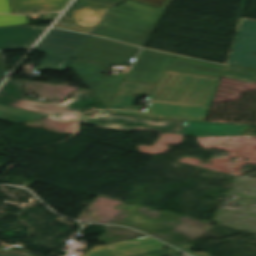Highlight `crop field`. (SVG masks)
<instances>
[{
  "instance_id": "15",
  "label": "crop field",
  "mask_w": 256,
  "mask_h": 256,
  "mask_svg": "<svg viewBox=\"0 0 256 256\" xmlns=\"http://www.w3.org/2000/svg\"><path fill=\"white\" fill-rule=\"evenodd\" d=\"M70 0H9L12 13H31L33 9L40 12L62 11Z\"/></svg>"
},
{
  "instance_id": "9",
  "label": "crop field",
  "mask_w": 256,
  "mask_h": 256,
  "mask_svg": "<svg viewBox=\"0 0 256 256\" xmlns=\"http://www.w3.org/2000/svg\"><path fill=\"white\" fill-rule=\"evenodd\" d=\"M256 22L244 21L229 64L256 70Z\"/></svg>"
},
{
  "instance_id": "26",
  "label": "crop field",
  "mask_w": 256,
  "mask_h": 256,
  "mask_svg": "<svg viewBox=\"0 0 256 256\" xmlns=\"http://www.w3.org/2000/svg\"><path fill=\"white\" fill-rule=\"evenodd\" d=\"M179 251H177V252H172V253H168V254H163V255H160V256H166V255H169V256H180L179 255Z\"/></svg>"
},
{
  "instance_id": "10",
  "label": "crop field",
  "mask_w": 256,
  "mask_h": 256,
  "mask_svg": "<svg viewBox=\"0 0 256 256\" xmlns=\"http://www.w3.org/2000/svg\"><path fill=\"white\" fill-rule=\"evenodd\" d=\"M46 28L31 25L0 27V50L30 48Z\"/></svg>"
},
{
  "instance_id": "22",
  "label": "crop field",
  "mask_w": 256,
  "mask_h": 256,
  "mask_svg": "<svg viewBox=\"0 0 256 256\" xmlns=\"http://www.w3.org/2000/svg\"><path fill=\"white\" fill-rule=\"evenodd\" d=\"M8 72L9 71L7 70V66L4 65L2 51H0V83L4 79V77L7 75Z\"/></svg>"
},
{
  "instance_id": "2",
  "label": "crop field",
  "mask_w": 256,
  "mask_h": 256,
  "mask_svg": "<svg viewBox=\"0 0 256 256\" xmlns=\"http://www.w3.org/2000/svg\"><path fill=\"white\" fill-rule=\"evenodd\" d=\"M152 1L130 0L112 9L93 34L144 47L171 0Z\"/></svg>"
},
{
  "instance_id": "24",
  "label": "crop field",
  "mask_w": 256,
  "mask_h": 256,
  "mask_svg": "<svg viewBox=\"0 0 256 256\" xmlns=\"http://www.w3.org/2000/svg\"><path fill=\"white\" fill-rule=\"evenodd\" d=\"M0 13H11L8 0H0Z\"/></svg>"
},
{
  "instance_id": "7",
  "label": "crop field",
  "mask_w": 256,
  "mask_h": 256,
  "mask_svg": "<svg viewBox=\"0 0 256 256\" xmlns=\"http://www.w3.org/2000/svg\"><path fill=\"white\" fill-rule=\"evenodd\" d=\"M107 107L124 78L102 75L105 65L74 59L70 66ZM75 72V73H76Z\"/></svg>"
},
{
  "instance_id": "14",
  "label": "crop field",
  "mask_w": 256,
  "mask_h": 256,
  "mask_svg": "<svg viewBox=\"0 0 256 256\" xmlns=\"http://www.w3.org/2000/svg\"><path fill=\"white\" fill-rule=\"evenodd\" d=\"M108 247L115 256H132L169 246L150 237H146L142 239L109 245Z\"/></svg>"
},
{
  "instance_id": "27",
  "label": "crop field",
  "mask_w": 256,
  "mask_h": 256,
  "mask_svg": "<svg viewBox=\"0 0 256 256\" xmlns=\"http://www.w3.org/2000/svg\"><path fill=\"white\" fill-rule=\"evenodd\" d=\"M58 13L49 14L48 20L54 19Z\"/></svg>"
},
{
  "instance_id": "3",
  "label": "crop field",
  "mask_w": 256,
  "mask_h": 256,
  "mask_svg": "<svg viewBox=\"0 0 256 256\" xmlns=\"http://www.w3.org/2000/svg\"><path fill=\"white\" fill-rule=\"evenodd\" d=\"M72 95V99L62 104L33 101L23 97L21 82L7 81L0 89V104L76 122V117L80 114L78 110L98 100L85 89Z\"/></svg>"
},
{
  "instance_id": "18",
  "label": "crop field",
  "mask_w": 256,
  "mask_h": 256,
  "mask_svg": "<svg viewBox=\"0 0 256 256\" xmlns=\"http://www.w3.org/2000/svg\"><path fill=\"white\" fill-rule=\"evenodd\" d=\"M221 75L249 82H256V72L231 67L228 65L225 66Z\"/></svg>"
},
{
  "instance_id": "11",
  "label": "crop field",
  "mask_w": 256,
  "mask_h": 256,
  "mask_svg": "<svg viewBox=\"0 0 256 256\" xmlns=\"http://www.w3.org/2000/svg\"><path fill=\"white\" fill-rule=\"evenodd\" d=\"M86 6L111 9L116 5L91 0H76L54 27L91 33L94 29L93 27L78 25Z\"/></svg>"
},
{
  "instance_id": "8",
  "label": "crop field",
  "mask_w": 256,
  "mask_h": 256,
  "mask_svg": "<svg viewBox=\"0 0 256 256\" xmlns=\"http://www.w3.org/2000/svg\"><path fill=\"white\" fill-rule=\"evenodd\" d=\"M172 55L143 49L125 80L158 83Z\"/></svg>"
},
{
  "instance_id": "20",
  "label": "crop field",
  "mask_w": 256,
  "mask_h": 256,
  "mask_svg": "<svg viewBox=\"0 0 256 256\" xmlns=\"http://www.w3.org/2000/svg\"><path fill=\"white\" fill-rule=\"evenodd\" d=\"M0 256H35V255L27 250H15V251L0 252Z\"/></svg>"
},
{
  "instance_id": "21",
  "label": "crop field",
  "mask_w": 256,
  "mask_h": 256,
  "mask_svg": "<svg viewBox=\"0 0 256 256\" xmlns=\"http://www.w3.org/2000/svg\"><path fill=\"white\" fill-rule=\"evenodd\" d=\"M194 246L186 244V245H182V246H178V248L186 251L187 253L194 255V256H212L206 252H199V253H193L190 251L191 248H193Z\"/></svg>"
},
{
  "instance_id": "4",
  "label": "crop field",
  "mask_w": 256,
  "mask_h": 256,
  "mask_svg": "<svg viewBox=\"0 0 256 256\" xmlns=\"http://www.w3.org/2000/svg\"><path fill=\"white\" fill-rule=\"evenodd\" d=\"M88 38V35L51 29L36 47L37 51L46 53L36 70H65Z\"/></svg>"
},
{
  "instance_id": "25",
  "label": "crop field",
  "mask_w": 256,
  "mask_h": 256,
  "mask_svg": "<svg viewBox=\"0 0 256 256\" xmlns=\"http://www.w3.org/2000/svg\"><path fill=\"white\" fill-rule=\"evenodd\" d=\"M97 1L119 4V3L123 2L124 0H97Z\"/></svg>"
},
{
  "instance_id": "17",
  "label": "crop field",
  "mask_w": 256,
  "mask_h": 256,
  "mask_svg": "<svg viewBox=\"0 0 256 256\" xmlns=\"http://www.w3.org/2000/svg\"><path fill=\"white\" fill-rule=\"evenodd\" d=\"M108 10L87 7L79 24L96 27Z\"/></svg>"
},
{
  "instance_id": "16",
  "label": "crop field",
  "mask_w": 256,
  "mask_h": 256,
  "mask_svg": "<svg viewBox=\"0 0 256 256\" xmlns=\"http://www.w3.org/2000/svg\"><path fill=\"white\" fill-rule=\"evenodd\" d=\"M46 117L48 116H43L0 105V119L2 120L19 123L31 119L40 120Z\"/></svg>"
},
{
  "instance_id": "23",
  "label": "crop field",
  "mask_w": 256,
  "mask_h": 256,
  "mask_svg": "<svg viewBox=\"0 0 256 256\" xmlns=\"http://www.w3.org/2000/svg\"><path fill=\"white\" fill-rule=\"evenodd\" d=\"M172 251H176V249L169 247V248H165V249H161V250H157V251H153V252H149V253H145V254H140V255H136V256H155L157 254H163V253H168V252H172Z\"/></svg>"
},
{
  "instance_id": "1",
  "label": "crop field",
  "mask_w": 256,
  "mask_h": 256,
  "mask_svg": "<svg viewBox=\"0 0 256 256\" xmlns=\"http://www.w3.org/2000/svg\"><path fill=\"white\" fill-rule=\"evenodd\" d=\"M220 79L164 71L158 84L123 81L109 108L139 110L132 104L147 94L144 112L113 114L204 121ZM132 95H137L132 97Z\"/></svg>"
},
{
  "instance_id": "12",
  "label": "crop field",
  "mask_w": 256,
  "mask_h": 256,
  "mask_svg": "<svg viewBox=\"0 0 256 256\" xmlns=\"http://www.w3.org/2000/svg\"><path fill=\"white\" fill-rule=\"evenodd\" d=\"M250 126L186 121L182 134L193 136L241 135ZM244 129V131H240Z\"/></svg>"
},
{
  "instance_id": "19",
  "label": "crop field",
  "mask_w": 256,
  "mask_h": 256,
  "mask_svg": "<svg viewBox=\"0 0 256 256\" xmlns=\"http://www.w3.org/2000/svg\"><path fill=\"white\" fill-rule=\"evenodd\" d=\"M28 24L26 16H0V26Z\"/></svg>"
},
{
  "instance_id": "6",
  "label": "crop field",
  "mask_w": 256,
  "mask_h": 256,
  "mask_svg": "<svg viewBox=\"0 0 256 256\" xmlns=\"http://www.w3.org/2000/svg\"><path fill=\"white\" fill-rule=\"evenodd\" d=\"M150 120L162 123V125L151 124ZM79 121L105 128H120L129 130L138 129L176 133L182 132L185 123L184 121L174 120L118 117L111 115L108 111H102L94 118L81 115Z\"/></svg>"
},
{
  "instance_id": "5",
  "label": "crop field",
  "mask_w": 256,
  "mask_h": 256,
  "mask_svg": "<svg viewBox=\"0 0 256 256\" xmlns=\"http://www.w3.org/2000/svg\"><path fill=\"white\" fill-rule=\"evenodd\" d=\"M139 51L137 47L90 36L76 58L105 65L126 64Z\"/></svg>"
},
{
  "instance_id": "13",
  "label": "crop field",
  "mask_w": 256,
  "mask_h": 256,
  "mask_svg": "<svg viewBox=\"0 0 256 256\" xmlns=\"http://www.w3.org/2000/svg\"><path fill=\"white\" fill-rule=\"evenodd\" d=\"M223 68L222 66L175 56L167 70L220 78Z\"/></svg>"
}]
</instances>
